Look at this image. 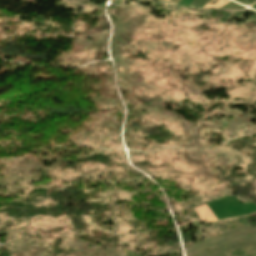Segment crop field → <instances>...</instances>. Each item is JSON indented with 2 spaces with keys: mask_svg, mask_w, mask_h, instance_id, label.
<instances>
[{
  "mask_svg": "<svg viewBox=\"0 0 256 256\" xmlns=\"http://www.w3.org/2000/svg\"><path fill=\"white\" fill-rule=\"evenodd\" d=\"M212 1H214V0H211L209 3H207L202 8L219 9V8L223 7L224 5H226L227 3L231 2L229 0H215L217 3L210 4Z\"/></svg>",
  "mask_w": 256,
  "mask_h": 256,
  "instance_id": "ac0d7876",
  "label": "crop field"
},
{
  "mask_svg": "<svg viewBox=\"0 0 256 256\" xmlns=\"http://www.w3.org/2000/svg\"><path fill=\"white\" fill-rule=\"evenodd\" d=\"M199 212L204 216V218L207 221H217L218 219L212 214V212L207 208V206L205 204L196 207ZM194 208L195 212L197 213V215L199 216V218L201 220H204V218L202 217V215L197 211V209Z\"/></svg>",
  "mask_w": 256,
  "mask_h": 256,
  "instance_id": "8a807250",
  "label": "crop field"
}]
</instances>
